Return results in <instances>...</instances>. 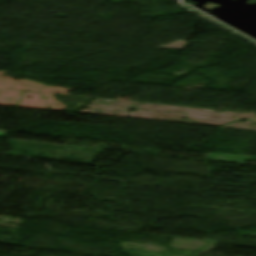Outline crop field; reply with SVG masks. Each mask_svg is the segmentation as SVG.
I'll return each instance as SVG.
<instances>
[{
	"instance_id": "obj_1",
	"label": "crop field",
	"mask_w": 256,
	"mask_h": 256,
	"mask_svg": "<svg viewBox=\"0 0 256 256\" xmlns=\"http://www.w3.org/2000/svg\"><path fill=\"white\" fill-rule=\"evenodd\" d=\"M6 131L0 130V137H3Z\"/></svg>"
}]
</instances>
